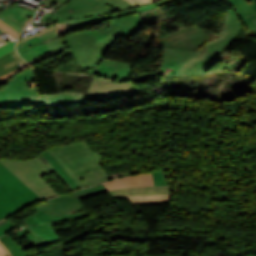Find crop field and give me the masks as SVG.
I'll return each mask as SVG.
<instances>
[{
    "instance_id": "d32e631a",
    "label": "crop field",
    "mask_w": 256,
    "mask_h": 256,
    "mask_svg": "<svg viewBox=\"0 0 256 256\" xmlns=\"http://www.w3.org/2000/svg\"><path fill=\"white\" fill-rule=\"evenodd\" d=\"M3 39L2 37H0V40Z\"/></svg>"
},
{
    "instance_id": "412701ff",
    "label": "crop field",
    "mask_w": 256,
    "mask_h": 256,
    "mask_svg": "<svg viewBox=\"0 0 256 256\" xmlns=\"http://www.w3.org/2000/svg\"><path fill=\"white\" fill-rule=\"evenodd\" d=\"M79 186L87 187L107 181L100 165L104 162L99 153L84 141L48 150Z\"/></svg>"
},
{
    "instance_id": "cbeb9de0",
    "label": "crop field",
    "mask_w": 256,
    "mask_h": 256,
    "mask_svg": "<svg viewBox=\"0 0 256 256\" xmlns=\"http://www.w3.org/2000/svg\"><path fill=\"white\" fill-rule=\"evenodd\" d=\"M111 196H133L145 194H170V186H149L108 191Z\"/></svg>"
},
{
    "instance_id": "dd49c442",
    "label": "crop field",
    "mask_w": 256,
    "mask_h": 256,
    "mask_svg": "<svg viewBox=\"0 0 256 256\" xmlns=\"http://www.w3.org/2000/svg\"><path fill=\"white\" fill-rule=\"evenodd\" d=\"M106 192L105 187L101 184L95 187L69 193L65 196L50 199L48 200V203L36 206L35 210L37 211L42 208L55 221L81 218L89 214L85 212L70 214L74 211L81 210L83 205L79 199Z\"/></svg>"
},
{
    "instance_id": "bc2a9ffb",
    "label": "crop field",
    "mask_w": 256,
    "mask_h": 256,
    "mask_svg": "<svg viewBox=\"0 0 256 256\" xmlns=\"http://www.w3.org/2000/svg\"><path fill=\"white\" fill-rule=\"evenodd\" d=\"M57 1L58 0H47L44 3L46 5H51ZM97 1L107 3L119 11H124V10L131 9V8L135 7L133 4H131L130 2H128L126 0H97Z\"/></svg>"
},
{
    "instance_id": "e52e79f7",
    "label": "crop field",
    "mask_w": 256,
    "mask_h": 256,
    "mask_svg": "<svg viewBox=\"0 0 256 256\" xmlns=\"http://www.w3.org/2000/svg\"><path fill=\"white\" fill-rule=\"evenodd\" d=\"M62 3L55 8V13L67 20L101 16L117 12L114 8L95 0H59Z\"/></svg>"
},
{
    "instance_id": "750c4746",
    "label": "crop field",
    "mask_w": 256,
    "mask_h": 256,
    "mask_svg": "<svg viewBox=\"0 0 256 256\" xmlns=\"http://www.w3.org/2000/svg\"><path fill=\"white\" fill-rule=\"evenodd\" d=\"M0 246L3 248V250L5 251L7 256H12L9 251L6 249V247L2 244V242L0 241Z\"/></svg>"
},
{
    "instance_id": "5a996713",
    "label": "crop field",
    "mask_w": 256,
    "mask_h": 256,
    "mask_svg": "<svg viewBox=\"0 0 256 256\" xmlns=\"http://www.w3.org/2000/svg\"><path fill=\"white\" fill-rule=\"evenodd\" d=\"M131 71L132 64L130 63H122L103 58L100 64L89 70L88 73L101 75L116 81H128L130 80Z\"/></svg>"
},
{
    "instance_id": "733c2abd",
    "label": "crop field",
    "mask_w": 256,
    "mask_h": 256,
    "mask_svg": "<svg viewBox=\"0 0 256 256\" xmlns=\"http://www.w3.org/2000/svg\"><path fill=\"white\" fill-rule=\"evenodd\" d=\"M31 228L48 243L58 239L49 223L31 226Z\"/></svg>"
},
{
    "instance_id": "730fd06b",
    "label": "crop field",
    "mask_w": 256,
    "mask_h": 256,
    "mask_svg": "<svg viewBox=\"0 0 256 256\" xmlns=\"http://www.w3.org/2000/svg\"><path fill=\"white\" fill-rule=\"evenodd\" d=\"M131 3H133L134 5H136L137 7L145 5V4H149V3H153V2H157L160 0H128Z\"/></svg>"
},
{
    "instance_id": "4177f3b9",
    "label": "crop field",
    "mask_w": 256,
    "mask_h": 256,
    "mask_svg": "<svg viewBox=\"0 0 256 256\" xmlns=\"http://www.w3.org/2000/svg\"><path fill=\"white\" fill-rule=\"evenodd\" d=\"M138 172H141V171L135 169V170L127 171V172H122V173H117V174L109 175L108 177H109V179L111 180V179L123 177V176H126V175L138 173Z\"/></svg>"
},
{
    "instance_id": "d1516ede",
    "label": "crop field",
    "mask_w": 256,
    "mask_h": 256,
    "mask_svg": "<svg viewBox=\"0 0 256 256\" xmlns=\"http://www.w3.org/2000/svg\"><path fill=\"white\" fill-rule=\"evenodd\" d=\"M249 33L256 31V0H229Z\"/></svg>"
},
{
    "instance_id": "d3111659",
    "label": "crop field",
    "mask_w": 256,
    "mask_h": 256,
    "mask_svg": "<svg viewBox=\"0 0 256 256\" xmlns=\"http://www.w3.org/2000/svg\"><path fill=\"white\" fill-rule=\"evenodd\" d=\"M13 76H14V75H13ZM13 76H11V77H9V78H6V79L1 80V81H0V86H1V85H3V84H5V83H7V82H9V80H10V79H12V78H13Z\"/></svg>"
},
{
    "instance_id": "4a817a6b",
    "label": "crop field",
    "mask_w": 256,
    "mask_h": 256,
    "mask_svg": "<svg viewBox=\"0 0 256 256\" xmlns=\"http://www.w3.org/2000/svg\"><path fill=\"white\" fill-rule=\"evenodd\" d=\"M49 163L59 172V174L69 183V185L74 189H80L79 186L74 182V180L67 174V172L60 166V164L52 157V155L46 150L42 154Z\"/></svg>"
},
{
    "instance_id": "00972430",
    "label": "crop field",
    "mask_w": 256,
    "mask_h": 256,
    "mask_svg": "<svg viewBox=\"0 0 256 256\" xmlns=\"http://www.w3.org/2000/svg\"><path fill=\"white\" fill-rule=\"evenodd\" d=\"M65 50H67V47H66V46H65V47H62V48H59V49H56V50H53V51H50V52H48V53H46V54H44V55H42V56H40V57H37V58H35V59L29 61V63L35 64V63H37L38 61H40V60H42V59H44V58H46V57H48V56H50V55H52V54H54V53L62 52V51H65ZM54 55H55V54H54Z\"/></svg>"
},
{
    "instance_id": "1d83c4d3",
    "label": "crop field",
    "mask_w": 256,
    "mask_h": 256,
    "mask_svg": "<svg viewBox=\"0 0 256 256\" xmlns=\"http://www.w3.org/2000/svg\"><path fill=\"white\" fill-rule=\"evenodd\" d=\"M0 256H5L4 251L2 250L1 247H0Z\"/></svg>"
},
{
    "instance_id": "5142ce71",
    "label": "crop field",
    "mask_w": 256,
    "mask_h": 256,
    "mask_svg": "<svg viewBox=\"0 0 256 256\" xmlns=\"http://www.w3.org/2000/svg\"><path fill=\"white\" fill-rule=\"evenodd\" d=\"M26 62L17 54L16 50L0 57V76L20 67Z\"/></svg>"
},
{
    "instance_id": "214f88e0",
    "label": "crop field",
    "mask_w": 256,
    "mask_h": 256,
    "mask_svg": "<svg viewBox=\"0 0 256 256\" xmlns=\"http://www.w3.org/2000/svg\"><path fill=\"white\" fill-rule=\"evenodd\" d=\"M0 239L13 256H26L23 249L15 242L14 239L7 235L0 237Z\"/></svg>"
},
{
    "instance_id": "f4fd0767",
    "label": "crop field",
    "mask_w": 256,
    "mask_h": 256,
    "mask_svg": "<svg viewBox=\"0 0 256 256\" xmlns=\"http://www.w3.org/2000/svg\"><path fill=\"white\" fill-rule=\"evenodd\" d=\"M175 1H178V0H163L157 3L145 5L139 8H134L124 12H117V13H113V14H109L101 17H89V18H82V19H76L71 21L57 22L56 25L58 26L59 29H56L54 31H51L43 35L36 36L34 38H31L27 41H24L16 45L17 52L20 54V56L23 59L28 61L50 50L65 46V43L60 35V33L63 31L72 30L76 27H80L83 25L92 24V23L109 20L112 18L124 16V15H129L132 13L152 9V8L166 5Z\"/></svg>"
},
{
    "instance_id": "bd1437ed",
    "label": "crop field",
    "mask_w": 256,
    "mask_h": 256,
    "mask_svg": "<svg viewBox=\"0 0 256 256\" xmlns=\"http://www.w3.org/2000/svg\"><path fill=\"white\" fill-rule=\"evenodd\" d=\"M54 29H56V27H54V28H52V29H49V30H47V31H44V32H42V33H39V34H43V33H46V32H48V31H51V30H54ZM39 34H36V35H39ZM36 35H34V36H36ZM34 36H31V37H34ZM31 37H29V38H31ZM29 38H26V39H24V40H27V39H29ZM24 40H21V41H19V42H22V41H24ZM19 42H17V43H19Z\"/></svg>"
},
{
    "instance_id": "28ad6ade",
    "label": "crop field",
    "mask_w": 256,
    "mask_h": 256,
    "mask_svg": "<svg viewBox=\"0 0 256 256\" xmlns=\"http://www.w3.org/2000/svg\"><path fill=\"white\" fill-rule=\"evenodd\" d=\"M86 94L82 93H61L55 95H38L33 103V107L37 106H59L73 103H85Z\"/></svg>"
},
{
    "instance_id": "120bbe31",
    "label": "crop field",
    "mask_w": 256,
    "mask_h": 256,
    "mask_svg": "<svg viewBox=\"0 0 256 256\" xmlns=\"http://www.w3.org/2000/svg\"><path fill=\"white\" fill-rule=\"evenodd\" d=\"M6 222H8V221L5 219V220H3V221L0 222V225L4 224V223H6Z\"/></svg>"
},
{
    "instance_id": "dafd665d",
    "label": "crop field",
    "mask_w": 256,
    "mask_h": 256,
    "mask_svg": "<svg viewBox=\"0 0 256 256\" xmlns=\"http://www.w3.org/2000/svg\"><path fill=\"white\" fill-rule=\"evenodd\" d=\"M0 27L7 32L10 36H12L14 39L19 37V33H17L15 30H13L10 26H8L6 23H4L2 20H0Z\"/></svg>"
},
{
    "instance_id": "ac0d7876",
    "label": "crop field",
    "mask_w": 256,
    "mask_h": 256,
    "mask_svg": "<svg viewBox=\"0 0 256 256\" xmlns=\"http://www.w3.org/2000/svg\"><path fill=\"white\" fill-rule=\"evenodd\" d=\"M242 27L233 10L225 11L219 29L196 52L166 48L162 75L204 74L232 50L230 46Z\"/></svg>"
},
{
    "instance_id": "22f410ed",
    "label": "crop field",
    "mask_w": 256,
    "mask_h": 256,
    "mask_svg": "<svg viewBox=\"0 0 256 256\" xmlns=\"http://www.w3.org/2000/svg\"><path fill=\"white\" fill-rule=\"evenodd\" d=\"M104 184L107 190L125 187L154 185L151 172L137 176L116 179L113 181L105 182Z\"/></svg>"
},
{
    "instance_id": "d9b57169",
    "label": "crop field",
    "mask_w": 256,
    "mask_h": 256,
    "mask_svg": "<svg viewBox=\"0 0 256 256\" xmlns=\"http://www.w3.org/2000/svg\"><path fill=\"white\" fill-rule=\"evenodd\" d=\"M134 205L170 203V195H146L128 197Z\"/></svg>"
},
{
    "instance_id": "d8731c3e",
    "label": "crop field",
    "mask_w": 256,
    "mask_h": 256,
    "mask_svg": "<svg viewBox=\"0 0 256 256\" xmlns=\"http://www.w3.org/2000/svg\"><path fill=\"white\" fill-rule=\"evenodd\" d=\"M140 92L131 82L116 83L94 77L87 92V99L91 101L108 100Z\"/></svg>"
},
{
    "instance_id": "a9b5d70f",
    "label": "crop field",
    "mask_w": 256,
    "mask_h": 256,
    "mask_svg": "<svg viewBox=\"0 0 256 256\" xmlns=\"http://www.w3.org/2000/svg\"><path fill=\"white\" fill-rule=\"evenodd\" d=\"M15 42H16V40L13 41V42H11V43H8V44H6V45L1 46V47H0V56H2V55H4V54H6V53H8V52H10V51H12V50H14V49H15V47H14Z\"/></svg>"
},
{
    "instance_id": "eef30255",
    "label": "crop field",
    "mask_w": 256,
    "mask_h": 256,
    "mask_svg": "<svg viewBox=\"0 0 256 256\" xmlns=\"http://www.w3.org/2000/svg\"><path fill=\"white\" fill-rule=\"evenodd\" d=\"M13 226L14 225L12 223H10V222L0 226V236L5 234V233H7V232H9L13 228Z\"/></svg>"
},
{
    "instance_id": "3316defc",
    "label": "crop field",
    "mask_w": 256,
    "mask_h": 256,
    "mask_svg": "<svg viewBox=\"0 0 256 256\" xmlns=\"http://www.w3.org/2000/svg\"><path fill=\"white\" fill-rule=\"evenodd\" d=\"M34 16L35 13L14 5H11L0 11V19L3 18L4 22H6L20 34L31 22Z\"/></svg>"
},
{
    "instance_id": "8a807250",
    "label": "crop field",
    "mask_w": 256,
    "mask_h": 256,
    "mask_svg": "<svg viewBox=\"0 0 256 256\" xmlns=\"http://www.w3.org/2000/svg\"><path fill=\"white\" fill-rule=\"evenodd\" d=\"M52 172L74 191L42 155L29 161L0 160V220L36 201L57 196L41 178Z\"/></svg>"
},
{
    "instance_id": "34b2d1b8",
    "label": "crop field",
    "mask_w": 256,
    "mask_h": 256,
    "mask_svg": "<svg viewBox=\"0 0 256 256\" xmlns=\"http://www.w3.org/2000/svg\"><path fill=\"white\" fill-rule=\"evenodd\" d=\"M142 21L137 13L109 20L106 23V28L103 29L61 33L68 46V51L61 56L70 52L86 70H89L99 64L108 48L119 37L130 38L133 36L138 31Z\"/></svg>"
},
{
    "instance_id": "92a150f3",
    "label": "crop field",
    "mask_w": 256,
    "mask_h": 256,
    "mask_svg": "<svg viewBox=\"0 0 256 256\" xmlns=\"http://www.w3.org/2000/svg\"><path fill=\"white\" fill-rule=\"evenodd\" d=\"M155 185H169L163 169L152 172Z\"/></svg>"
},
{
    "instance_id": "ae1a2a85",
    "label": "crop field",
    "mask_w": 256,
    "mask_h": 256,
    "mask_svg": "<svg viewBox=\"0 0 256 256\" xmlns=\"http://www.w3.org/2000/svg\"><path fill=\"white\" fill-rule=\"evenodd\" d=\"M29 65H30V64H28V63L25 64V65H23L22 67L16 69L15 71H13V72H11V73H9V74H6V75L0 77V80L3 79V78H6V77H8V76H10V75H12V74H14L15 72H17V71H19V70H21V69H23V68H25V67H27V66H29Z\"/></svg>"
}]
</instances>
